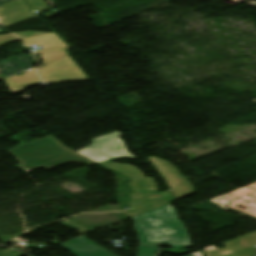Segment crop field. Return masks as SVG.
Wrapping results in <instances>:
<instances>
[{
    "instance_id": "ac0d7876",
    "label": "crop field",
    "mask_w": 256,
    "mask_h": 256,
    "mask_svg": "<svg viewBox=\"0 0 256 256\" xmlns=\"http://www.w3.org/2000/svg\"><path fill=\"white\" fill-rule=\"evenodd\" d=\"M8 153L17 159L21 163L18 166L27 172L41 167L49 169L64 163H96V161L66 148L52 135L20 145Z\"/></svg>"
},
{
    "instance_id": "22f410ed",
    "label": "crop field",
    "mask_w": 256,
    "mask_h": 256,
    "mask_svg": "<svg viewBox=\"0 0 256 256\" xmlns=\"http://www.w3.org/2000/svg\"><path fill=\"white\" fill-rule=\"evenodd\" d=\"M15 40H17V38L11 34L0 35V46Z\"/></svg>"
},
{
    "instance_id": "d1516ede",
    "label": "crop field",
    "mask_w": 256,
    "mask_h": 256,
    "mask_svg": "<svg viewBox=\"0 0 256 256\" xmlns=\"http://www.w3.org/2000/svg\"><path fill=\"white\" fill-rule=\"evenodd\" d=\"M27 2L35 12H40L47 9V4L42 0H27Z\"/></svg>"
},
{
    "instance_id": "e52e79f7",
    "label": "crop field",
    "mask_w": 256,
    "mask_h": 256,
    "mask_svg": "<svg viewBox=\"0 0 256 256\" xmlns=\"http://www.w3.org/2000/svg\"><path fill=\"white\" fill-rule=\"evenodd\" d=\"M22 41L27 46L42 45L44 47L40 52H33L34 55L40 54L43 56L38 58V60H44L42 64L67 56L64 49L69 48L68 44L55 33H47L23 39Z\"/></svg>"
},
{
    "instance_id": "733c2abd",
    "label": "crop field",
    "mask_w": 256,
    "mask_h": 256,
    "mask_svg": "<svg viewBox=\"0 0 256 256\" xmlns=\"http://www.w3.org/2000/svg\"><path fill=\"white\" fill-rule=\"evenodd\" d=\"M9 1H12V0H0V4L6 3V2H9Z\"/></svg>"
},
{
    "instance_id": "d8731c3e",
    "label": "crop field",
    "mask_w": 256,
    "mask_h": 256,
    "mask_svg": "<svg viewBox=\"0 0 256 256\" xmlns=\"http://www.w3.org/2000/svg\"><path fill=\"white\" fill-rule=\"evenodd\" d=\"M34 16L23 0H15L0 6V19L4 26Z\"/></svg>"
},
{
    "instance_id": "412701ff",
    "label": "crop field",
    "mask_w": 256,
    "mask_h": 256,
    "mask_svg": "<svg viewBox=\"0 0 256 256\" xmlns=\"http://www.w3.org/2000/svg\"><path fill=\"white\" fill-rule=\"evenodd\" d=\"M120 132L98 137L92 140V144L79 152L95 159L96 161L110 160L114 158H126L136 160L125 148V143L119 140Z\"/></svg>"
},
{
    "instance_id": "f4fd0767",
    "label": "crop field",
    "mask_w": 256,
    "mask_h": 256,
    "mask_svg": "<svg viewBox=\"0 0 256 256\" xmlns=\"http://www.w3.org/2000/svg\"><path fill=\"white\" fill-rule=\"evenodd\" d=\"M38 72L43 79V83L89 80L69 56L40 66Z\"/></svg>"
},
{
    "instance_id": "28ad6ade",
    "label": "crop field",
    "mask_w": 256,
    "mask_h": 256,
    "mask_svg": "<svg viewBox=\"0 0 256 256\" xmlns=\"http://www.w3.org/2000/svg\"><path fill=\"white\" fill-rule=\"evenodd\" d=\"M26 58L19 59L18 56L8 59L6 61L0 62V69L2 70L3 78L15 74L17 72L23 71L31 67V65L36 64L31 56L25 55Z\"/></svg>"
},
{
    "instance_id": "3316defc",
    "label": "crop field",
    "mask_w": 256,
    "mask_h": 256,
    "mask_svg": "<svg viewBox=\"0 0 256 256\" xmlns=\"http://www.w3.org/2000/svg\"><path fill=\"white\" fill-rule=\"evenodd\" d=\"M6 84L13 93H19L34 85L40 84V79L34 69L26 71L23 75H16L5 79Z\"/></svg>"
},
{
    "instance_id": "5142ce71",
    "label": "crop field",
    "mask_w": 256,
    "mask_h": 256,
    "mask_svg": "<svg viewBox=\"0 0 256 256\" xmlns=\"http://www.w3.org/2000/svg\"><path fill=\"white\" fill-rule=\"evenodd\" d=\"M15 250L13 249H8V250H5V251H0V256H22L24 254H11V252H13Z\"/></svg>"
},
{
    "instance_id": "34b2d1b8",
    "label": "crop field",
    "mask_w": 256,
    "mask_h": 256,
    "mask_svg": "<svg viewBox=\"0 0 256 256\" xmlns=\"http://www.w3.org/2000/svg\"><path fill=\"white\" fill-rule=\"evenodd\" d=\"M99 164L107 169L130 177L129 185L134 193L130 194L132 202L128 206L131 209L125 212V215L133 217L173 201L169 191L153 193L152 191L158 190L154 178H144L143 174L135 166L111 163L109 161L99 162Z\"/></svg>"
},
{
    "instance_id": "cbeb9de0",
    "label": "crop field",
    "mask_w": 256,
    "mask_h": 256,
    "mask_svg": "<svg viewBox=\"0 0 256 256\" xmlns=\"http://www.w3.org/2000/svg\"><path fill=\"white\" fill-rule=\"evenodd\" d=\"M16 34L20 39L22 38H26V37H30V36H34V35H38V34H43L40 32H20V33H14Z\"/></svg>"
},
{
    "instance_id": "8a807250",
    "label": "crop field",
    "mask_w": 256,
    "mask_h": 256,
    "mask_svg": "<svg viewBox=\"0 0 256 256\" xmlns=\"http://www.w3.org/2000/svg\"><path fill=\"white\" fill-rule=\"evenodd\" d=\"M134 228L140 244H169L172 248L191 247V236L170 204L135 216Z\"/></svg>"
},
{
    "instance_id": "dd49c442",
    "label": "crop field",
    "mask_w": 256,
    "mask_h": 256,
    "mask_svg": "<svg viewBox=\"0 0 256 256\" xmlns=\"http://www.w3.org/2000/svg\"><path fill=\"white\" fill-rule=\"evenodd\" d=\"M58 245L68 249L76 256H115L97 246L84 236L60 243ZM157 249V246L140 245L138 256H156ZM78 250L79 252H77Z\"/></svg>"
},
{
    "instance_id": "d9b57169",
    "label": "crop field",
    "mask_w": 256,
    "mask_h": 256,
    "mask_svg": "<svg viewBox=\"0 0 256 256\" xmlns=\"http://www.w3.org/2000/svg\"><path fill=\"white\" fill-rule=\"evenodd\" d=\"M186 256H203L202 252H197V253H193V254H190V255H186Z\"/></svg>"
},
{
    "instance_id": "5a996713",
    "label": "crop field",
    "mask_w": 256,
    "mask_h": 256,
    "mask_svg": "<svg viewBox=\"0 0 256 256\" xmlns=\"http://www.w3.org/2000/svg\"><path fill=\"white\" fill-rule=\"evenodd\" d=\"M225 249H216L214 245L205 248L207 256H222L256 246V231L223 243Z\"/></svg>"
}]
</instances>
